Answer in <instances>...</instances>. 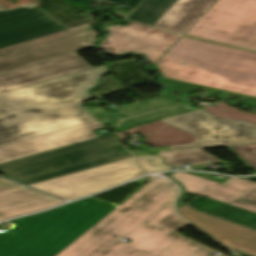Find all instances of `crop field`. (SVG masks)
Listing matches in <instances>:
<instances>
[{
  "mask_svg": "<svg viewBox=\"0 0 256 256\" xmlns=\"http://www.w3.org/2000/svg\"><path fill=\"white\" fill-rule=\"evenodd\" d=\"M177 186L168 179L156 177L116 210L83 234L57 256H158L180 235L157 220L174 211L173 198ZM152 217L118 241L163 204Z\"/></svg>",
  "mask_w": 256,
  "mask_h": 256,
  "instance_id": "obj_1",
  "label": "crop field"
},
{
  "mask_svg": "<svg viewBox=\"0 0 256 256\" xmlns=\"http://www.w3.org/2000/svg\"><path fill=\"white\" fill-rule=\"evenodd\" d=\"M106 67L0 94V147L95 121L77 103Z\"/></svg>",
  "mask_w": 256,
  "mask_h": 256,
  "instance_id": "obj_2",
  "label": "crop field"
},
{
  "mask_svg": "<svg viewBox=\"0 0 256 256\" xmlns=\"http://www.w3.org/2000/svg\"><path fill=\"white\" fill-rule=\"evenodd\" d=\"M178 91L220 90L256 104V53L181 37L155 63Z\"/></svg>",
  "mask_w": 256,
  "mask_h": 256,
  "instance_id": "obj_3",
  "label": "crop field"
},
{
  "mask_svg": "<svg viewBox=\"0 0 256 256\" xmlns=\"http://www.w3.org/2000/svg\"><path fill=\"white\" fill-rule=\"evenodd\" d=\"M92 23L67 29L33 3L0 5V74L92 47Z\"/></svg>",
  "mask_w": 256,
  "mask_h": 256,
  "instance_id": "obj_4",
  "label": "crop field"
},
{
  "mask_svg": "<svg viewBox=\"0 0 256 256\" xmlns=\"http://www.w3.org/2000/svg\"><path fill=\"white\" fill-rule=\"evenodd\" d=\"M119 205L92 197L10 221L0 256H55Z\"/></svg>",
  "mask_w": 256,
  "mask_h": 256,
  "instance_id": "obj_5",
  "label": "crop field"
},
{
  "mask_svg": "<svg viewBox=\"0 0 256 256\" xmlns=\"http://www.w3.org/2000/svg\"><path fill=\"white\" fill-rule=\"evenodd\" d=\"M120 140L114 133L98 139L62 147L32 157L0 165L2 177L28 185L113 160L104 152L114 149Z\"/></svg>",
  "mask_w": 256,
  "mask_h": 256,
  "instance_id": "obj_6",
  "label": "crop field"
},
{
  "mask_svg": "<svg viewBox=\"0 0 256 256\" xmlns=\"http://www.w3.org/2000/svg\"><path fill=\"white\" fill-rule=\"evenodd\" d=\"M183 35L256 51V0H216Z\"/></svg>",
  "mask_w": 256,
  "mask_h": 256,
  "instance_id": "obj_7",
  "label": "crop field"
},
{
  "mask_svg": "<svg viewBox=\"0 0 256 256\" xmlns=\"http://www.w3.org/2000/svg\"><path fill=\"white\" fill-rule=\"evenodd\" d=\"M161 121L197 136L193 144L165 149L195 146L207 149L256 143V126L248 122L218 119L202 109Z\"/></svg>",
  "mask_w": 256,
  "mask_h": 256,
  "instance_id": "obj_8",
  "label": "crop field"
},
{
  "mask_svg": "<svg viewBox=\"0 0 256 256\" xmlns=\"http://www.w3.org/2000/svg\"><path fill=\"white\" fill-rule=\"evenodd\" d=\"M146 174L131 157L29 186L71 200Z\"/></svg>",
  "mask_w": 256,
  "mask_h": 256,
  "instance_id": "obj_9",
  "label": "crop field"
},
{
  "mask_svg": "<svg viewBox=\"0 0 256 256\" xmlns=\"http://www.w3.org/2000/svg\"><path fill=\"white\" fill-rule=\"evenodd\" d=\"M109 37L100 45L109 53L126 51L143 53L154 63L181 36L158 31L135 23L127 26H112L106 29Z\"/></svg>",
  "mask_w": 256,
  "mask_h": 256,
  "instance_id": "obj_10",
  "label": "crop field"
},
{
  "mask_svg": "<svg viewBox=\"0 0 256 256\" xmlns=\"http://www.w3.org/2000/svg\"><path fill=\"white\" fill-rule=\"evenodd\" d=\"M80 58L74 53L1 74L0 93L92 68Z\"/></svg>",
  "mask_w": 256,
  "mask_h": 256,
  "instance_id": "obj_11",
  "label": "crop field"
},
{
  "mask_svg": "<svg viewBox=\"0 0 256 256\" xmlns=\"http://www.w3.org/2000/svg\"><path fill=\"white\" fill-rule=\"evenodd\" d=\"M97 121L0 148V164L65 145L97 138L92 131L102 128Z\"/></svg>",
  "mask_w": 256,
  "mask_h": 256,
  "instance_id": "obj_12",
  "label": "crop field"
},
{
  "mask_svg": "<svg viewBox=\"0 0 256 256\" xmlns=\"http://www.w3.org/2000/svg\"><path fill=\"white\" fill-rule=\"evenodd\" d=\"M179 215L204 230L222 244L256 255V231L235 225L218 217L192 210L186 204L177 209Z\"/></svg>",
  "mask_w": 256,
  "mask_h": 256,
  "instance_id": "obj_13",
  "label": "crop field"
},
{
  "mask_svg": "<svg viewBox=\"0 0 256 256\" xmlns=\"http://www.w3.org/2000/svg\"><path fill=\"white\" fill-rule=\"evenodd\" d=\"M171 177L182 183L188 193L205 195L227 203L256 188V183L237 178H230L221 185L183 172L173 173Z\"/></svg>",
  "mask_w": 256,
  "mask_h": 256,
  "instance_id": "obj_14",
  "label": "crop field"
},
{
  "mask_svg": "<svg viewBox=\"0 0 256 256\" xmlns=\"http://www.w3.org/2000/svg\"><path fill=\"white\" fill-rule=\"evenodd\" d=\"M65 201L26 187L0 193V221L47 209Z\"/></svg>",
  "mask_w": 256,
  "mask_h": 256,
  "instance_id": "obj_15",
  "label": "crop field"
},
{
  "mask_svg": "<svg viewBox=\"0 0 256 256\" xmlns=\"http://www.w3.org/2000/svg\"><path fill=\"white\" fill-rule=\"evenodd\" d=\"M215 0H178L153 27L182 35Z\"/></svg>",
  "mask_w": 256,
  "mask_h": 256,
  "instance_id": "obj_16",
  "label": "crop field"
},
{
  "mask_svg": "<svg viewBox=\"0 0 256 256\" xmlns=\"http://www.w3.org/2000/svg\"><path fill=\"white\" fill-rule=\"evenodd\" d=\"M193 209L203 211L213 216H219L231 222L256 230V213L249 212L220 201L200 196L187 203Z\"/></svg>",
  "mask_w": 256,
  "mask_h": 256,
  "instance_id": "obj_17",
  "label": "crop field"
},
{
  "mask_svg": "<svg viewBox=\"0 0 256 256\" xmlns=\"http://www.w3.org/2000/svg\"><path fill=\"white\" fill-rule=\"evenodd\" d=\"M152 99V98H151ZM186 103V101L177 103L175 99L171 96H163L159 98H155L148 101H143L135 104H131L124 107H119L113 109L117 112L114 118V122L110 124L111 127L117 126L120 120L129 118L134 115L158 110L164 107H171L179 104Z\"/></svg>",
  "mask_w": 256,
  "mask_h": 256,
  "instance_id": "obj_18",
  "label": "crop field"
},
{
  "mask_svg": "<svg viewBox=\"0 0 256 256\" xmlns=\"http://www.w3.org/2000/svg\"><path fill=\"white\" fill-rule=\"evenodd\" d=\"M177 0H143L127 17L152 26Z\"/></svg>",
  "mask_w": 256,
  "mask_h": 256,
  "instance_id": "obj_19",
  "label": "crop field"
},
{
  "mask_svg": "<svg viewBox=\"0 0 256 256\" xmlns=\"http://www.w3.org/2000/svg\"><path fill=\"white\" fill-rule=\"evenodd\" d=\"M214 253L215 251L182 237L159 256H212Z\"/></svg>",
  "mask_w": 256,
  "mask_h": 256,
  "instance_id": "obj_20",
  "label": "crop field"
},
{
  "mask_svg": "<svg viewBox=\"0 0 256 256\" xmlns=\"http://www.w3.org/2000/svg\"><path fill=\"white\" fill-rule=\"evenodd\" d=\"M184 112H188V110L182 106L177 108H169V109L152 112L136 118L124 120L122 121L121 125L118 128H115V130H118V131L125 130L128 128H132V127L149 123L152 121L161 120L174 115H178Z\"/></svg>",
  "mask_w": 256,
  "mask_h": 256,
  "instance_id": "obj_21",
  "label": "crop field"
},
{
  "mask_svg": "<svg viewBox=\"0 0 256 256\" xmlns=\"http://www.w3.org/2000/svg\"><path fill=\"white\" fill-rule=\"evenodd\" d=\"M137 164L150 173L172 169L162 163V158L154 155L136 157Z\"/></svg>",
  "mask_w": 256,
  "mask_h": 256,
  "instance_id": "obj_22",
  "label": "crop field"
},
{
  "mask_svg": "<svg viewBox=\"0 0 256 256\" xmlns=\"http://www.w3.org/2000/svg\"><path fill=\"white\" fill-rule=\"evenodd\" d=\"M168 163L175 167H182L183 163H190L193 167L199 166L198 162L195 160L190 151L176 152L168 154H159Z\"/></svg>",
  "mask_w": 256,
  "mask_h": 256,
  "instance_id": "obj_23",
  "label": "crop field"
},
{
  "mask_svg": "<svg viewBox=\"0 0 256 256\" xmlns=\"http://www.w3.org/2000/svg\"><path fill=\"white\" fill-rule=\"evenodd\" d=\"M229 148H231L240 157H242L250 165L256 168V144L247 146H235Z\"/></svg>",
  "mask_w": 256,
  "mask_h": 256,
  "instance_id": "obj_24",
  "label": "crop field"
},
{
  "mask_svg": "<svg viewBox=\"0 0 256 256\" xmlns=\"http://www.w3.org/2000/svg\"><path fill=\"white\" fill-rule=\"evenodd\" d=\"M229 204L256 212V189Z\"/></svg>",
  "mask_w": 256,
  "mask_h": 256,
  "instance_id": "obj_25",
  "label": "crop field"
},
{
  "mask_svg": "<svg viewBox=\"0 0 256 256\" xmlns=\"http://www.w3.org/2000/svg\"><path fill=\"white\" fill-rule=\"evenodd\" d=\"M158 222L165 224L169 227H172L176 230L182 228L183 226L189 224L187 222H185L184 220H182L180 217H178L177 215L174 214V212L170 213L169 215H167L166 217L162 218L161 220H159Z\"/></svg>",
  "mask_w": 256,
  "mask_h": 256,
  "instance_id": "obj_26",
  "label": "crop field"
},
{
  "mask_svg": "<svg viewBox=\"0 0 256 256\" xmlns=\"http://www.w3.org/2000/svg\"><path fill=\"white\" fill-rule=\"evenodd\" d=\"M191 153L194 155L199 164L218 161V159L208 155L209 153L207 154L203 150L191 151Z\"/></svg>",
  "mask_w": 256,
  "mask_h": 256,
  "instance_id": "obj_27",
  "label": "crop field"
},
{
  "mask_svg": "<svg viewBox=\"0 0 256 256\" xmlns=\"http://www.w3.org/2000/svg\"><path fill=\"white\" fill-rule=\"evenodd\" d=\"M114 161L116 160H120V159H123V158H127V157H131V155L126 152V153H121V152H118V151H115V150H111V151H107L106 152Z\"/></svg>",
  "mask_w": 256,
  "mask_h": 256,
  "instance_id": "obj_28",
  "label": "crop field"
},
{
  "mask_svg": "<svg viewBox=\"0 0 256 256\" xmlns=\"http://www.w3.org/2000/svg\"><path fill=\"white\" fill-rule=\"evenodd\" d=\"M18 187H22V186L0 179V192L11 190Z\"/></svg>",
  "mask_w": 256,
  "mask_h": 256,
  "instance_id": "obj_29",
  "label": "crop field"
},
{
  "mask_svg": "<svg viewBox=\"0 0 256 256\" xmlns=\"http://www.w3.org/2000/svg\"><path fill=\"white\" fill-rule=\"evenodd\" d=\"M125 6L135 8L142 0H108Z\"/></svg>",
  "mask_w": 256,
  "mask_h": 256,
  "instance_id": "obj_30",
  "label": "crop field"
},
{
  "mask_svg": "<svg viewBox=\"0 0 256 256\" xmlns=\"http://www.w3.org/2000/svg\"><path fill=\"white\" fill-rule=\"evenodd\" d=\"M112 115L111 112L105 111L102 113H98L95 114L94 116L100 120L104 125H107L109 121H111L110 119H108L107 117Z\"/></svg>",
  "mask_w": 256,
  "mask_h": 256,
  "instance_id": "obj_31",
  "label": "crop field"
},
{
  "mask_svg": "<svg viewBox=\"0 0 256 256\" xmlns=\"http://www.w3.org/2000/svg\"><path fill=\"white\" fill-rule=\"evenodd\" d=\"M196 149H201V148L195 147V148L176 149V150H162V151H155V152H151V153L157 154V153H164V152H174V151H184V150H196Z\"/></svg>",
  "mask_w": 256,
  "mask_h": 256,
  "instance_id": "obj_32",
  "label": "crop field"
},
{
  "mask_svg": "<svg viewBox=\"0 0 256 256\" xmlns=\"http://www.w3.org/2000/svg\"><path fill=\"white\" fill-rule=\"evenodd\" d=\"M183 197H184V194L181 193L180 197H178V199L176 201L177 208L183 205V204H181V200L183 199Z\"/></svg>",
  "mask_w": 256,
  "mask_h": 256,
  "instance_id": "obj_33",
  "label": "crop field"
},
{
  "mask_svg": "<svg viewBox=\"0 0 256 256\" xmlns=\"http://www.w3.org/2000/svg\"><path fill=\"white\" fill-rule=\"evenodd\" d=\"M147 154H149V153L142 152V153H136V154H134V155H135V156H139V155H147Z\"/></svg>",
  "mask_w": 256,
  "mask_h": 256,
  "instance_id": "obj_34",
  "label": "crop field"
}]
</instances>
